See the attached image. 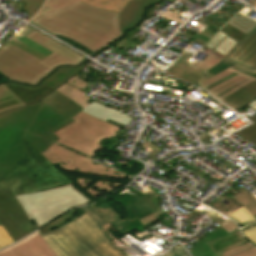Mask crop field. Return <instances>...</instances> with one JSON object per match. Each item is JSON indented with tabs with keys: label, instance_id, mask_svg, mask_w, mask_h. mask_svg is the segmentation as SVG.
<instances>
[{
	"label": "crop field",
	"instance_id": "crop-field-19",
	"mask_svg": "<svg viewBox=\"0 0 256 256\" xmlns=\"http://www.w3.org/2000/svg\"><path fill=\"white\" fill-rule=\"evenodd\" d=\"M82 112L107 121L111 124L118 126L119 124L128 125L132 118L128 117L129 115L112 110L109 107L100 105L98 103L92 102L88 105Z\"/></svg>",
	"mask_w": 256,
	"mask_h": 256
},
{
	"label": "crop field",
	"instance_id": "crop-field-45",
	"mask_svg": "<svg viewBox=\"0 0 256 256\" xmlns=\"http://www.w3.org/2000/svg\"><path fill=\"white\" fill-rule=\"evenodd\" d=\"M166 1H169V2L173 3L175 0H166Z\"/></svg>",
	"mask_w": 256,
	"mask_h": 256
},
{
	"label": "crop field",
	"instance_id": "crop-field-17",
	"mask_svg": "<svg viewBox=\"0 0 256 256\" xmlns=\"http://www.w3.org/2000/svg\"><path fill=\"white\" fill-rule=\"evenodd\" d=\"M208 55L203 59L204 61L198 66V68L208 71L212 74H217L229 67L252 77L256 78V73L249 71L245 68H242L228 60L225 57L219 55L218 53L208 50Z\"/></svg>",
	"mask_w": 256,
	"mask_h": 256
},
{
	"label": "crop field",
	"instance_id": "crop-field-36",
	"mask_svg": "<svg viewBox=\"0 0 256 256\" xmlns=\"http://www.w3.org/2000/svg\"><path fill=\"white\" fill-rule=\"evenodd\" d=\"M172 10H174V9H172ZM174 11H175L174 13L171 12V11H168V12L162 14L161 16H164V17H166V18H168V19H170L174 22L182 24L183 23L182 21H179V20L176 19L178 17V15H177L178 11H176V10H174Z\"/></svg>",
	"mask_w": 256,
	"mask_h": 256
},
{
	"label": "crop field",
	"instance_id": "crop-field-22",
	"mask_svg": "<svg viewBox=\"0 0 256 256\" xmlns=\"http://www.w3.org/2000/svg\"><path fill=\"white\" fill-rule=\"evenodd\" d=\"M191 57H192V54L185 52L181 56V58L173 64V66L178 67L180 69H183L185 71H188L190 73H193L195 75H198V76L202 77L199 82L213 76V75H211V74H209V73H207L203 70H200V69L196 68L202 62V60L200 62H196L195 64L189 62ZM198 83L196 84V86L202 88Z\"/></svg>",
	"mask_w": 256,
	"mask_h": 256
},
{
	"label": "crop field",
	"instance_id": "crop-field-40",
	"mask_svg": "<svg viewBox=\"0 0 256 256\" xmlns=\"http://www.w3.org/2000/svg\"><path fill=\"white\" fill-rule=\"evenodd\" d=\"M140 30L139 27H137L134 31L128 32L126 35H124V38L130 39L133 35H135Z\"/></svg>",
	"mask_w": 256,
	"mask_h": 256
},
{
	"label": "crop field",
	"instance_id": "crop-field-18",
	"mask_svg": "<svg viewBox=\"0 0 256 256\" xmlns=\"http://www.w3.org/2000/svg\"><path fill=\"white\" fill-rule=\"evenodd\" d=\"M3 86L20 98L26 105L40 101L41 98L54 90L46 83H41L37 87L22 86L17 83L4 84Z\"/></svg>",
	"mask_w": 256,
	"mask_h": 256
},
{
	"label": "crop field",
	"instance_id": "crop-field-30",
	"mask_svg": "<svg viewBox=\"0 0 256 256\" xmlns=\"http://www.w3.org/2000/svg\"><path fill=\"white\" fill-rule=\"evenodd\" d=\"M237 133L256 145V123Z\"/></svg>",
	"mask_w": 256,
	"mask_h": 256
},
{
	"label": "crop field",
	"instance_id": "crop-field-6",
	"mask_svg": "<svg viewBox=\"0 0 256 256\" xmlns=\"http://www.w3.org/2000/svg\"><path fill=\"white\" fill-rule=\"evenodd\" d=\"M15 198L24 208L35 230L68 209L93 202L73 184Z\"/></svg>",
	"mask_w": 256,
	"mask_h": 256
},
{
	"label": "crop field",
	"instance_id": "crop-field-25",
	"mask_svg": "<svg viewBox=\"0 0 256 256\" xmlns=\"http://www.w3.org/2000/svg\"><path fill=\"white\" fill-rule=\"evenodd\" d=\"M56 90L64 94L68 98L72 99L84 108L88 105L85 103L88 100V97L84 96V93L82 91L76 90L68 84H63Z\"/></svg>",
	"mask_w": 256,
	"mask_h": 256
},
{
	"label": "crop field",
	"instance_id": "crop-field-15",
	"mask_svg": "<svg viewBox=\"0 0 256 256\" xmlns=\"http://www.w3.org/2000/svg\"><path fill=\"white\" fill-rule=\"evenodd\" d=\"M227 59L256 71V29L244 38Z\"/></svg>",
	"mask_w": 256,
	"mask_h": 256
},
{
	"label": "crop field",
	"instance_id": "crop-field-3",
	"mask_svg": "<svg viewBox=\"0 0 256 256\" xmlns=\"http://www.w3.org/2000/svg\"><path fill=\"white\" fill-rule=\"evenodd\" d=\"M77 219L50 231L42 238L57 256H128L109 241L99 227L106 224L89 206Z\"/></svg>",
	"mask_w": 256,
	"mask_h": 256
},
{
	"label": "crop field",
	"instance_id": "crop-field-8",
	"mask_svg": "<svg viewBox=\"0 0 256 256\" xmlns=\"http://www.w3.org/2000/svg\"><path fill=\"white\" fill-rule=\"evenodd\" d=\"M72 119L75 121L54 133L60 139L57 143L90 157L95 151L101 149L100 141L112 136L120 129L82 112Z\"/></svg>",
	"mask_w": 256,
	"mask_h": 256
},
{
	"label": "crop field",
	"instance_id": "crop-field-31",
	"mask_svg": "<svg viewBox=\"0 0 256 256\" xmlns=\"http://www.w3.org/2000/svg\"><path fill=\"white\" fill-rule=\"evenodd\" d=\"M221 30L224 31L225 33L229 34L233 38L237 39L240 42L246 36L243 33L239 32L238 30H236L235 28H233L227 24Z\"/></svg>",
	"mask_w": 256,
	"mask_h": 256
},
{
	"label": "crop field",
	"instance_id": "crop-field-37",
	"mask_svg": "<svg viewBox=\"0 0 256 256\" xmlns=\"http://www.w3.org/2000/svg\"><path fill=\"white\" fill-rule=\"evenodd\" d=\"M217 30L218 28L208 25V27L203 32H198V33L211 38L217 32Z\"/></svg>",
	"mask_w": 256,
	"mask_h": 256
},
{
	"label": "crop field",
	"instance_id": "crop-field-1",
	"mask_svg": "<svg viewBox=\"0 0 256 256\" xmlns=\"http://www.w3.org/2000/svg\"><path fill=\"white\" fill-rule=\"evenodd\" d=\"M24 11L40 6L30 18L53 35L70 38L92 51L120 36L119 14L90 7L77 0H24Z\"/></svg>",
	"mask_w": 256,
	"mask_h": 256
},
{
	"label": "crop field",
	"instance_id": "crop-field-28",
	"mask_svg": "<svg viewBox=\"0 0 256 256\" xmlns=\"http://www.w3.org/2000/svg\"><path fill=\"white\" fill-rule=\"evenodd\" d=\"M166 73L176 78H179L181 80H184L188 83H191L193 85H195L200 79V77L198 76H195L193 74H190L188 72L175 68L173 66H171V68Z\"/></svg>",
	"mask_w": 256,
	"mask_h": 256
},
{
	"label": "crop field",
	"instance_id": "crop-field-44",
	"mask_svg": "<svg viewBox=\"0 0 256 256\" xmlns=\"http://www.w3.org/2000/svg\"><path fill=\"white\" fill-rule=\"evenodd\" d=\"M252 122H256V116L250 119Z\"/></svg>",
	"mask_w": 256,
	"mask_h": 256
},
{
	"label": "crop field",
	"instance_id": "crop-field-11",
	"mask_svg": "<svg viewBox=\"0 0 256 256\" xmlns=\"http://www.w3.org/2000/svg\"><path fill=\"white\" fill-rule=\"evenodd\" d=\"M123 204L128 213L126 218H121L108 202L96 208L93 205L90 207L106 223L110 222L121 235L129 231V223L159 211L156 194L146 201L135 195Z\"/></svg>",
	"mask_w": 256,
	"mask_h": 256
},
{
	"label": "crop field",
	"instance_id": "crop-field-35",
	"mask_svg": "<svg viewBox=\"0 0 256 256\" xmlns=\"http://www.w3.org/2000/svg\"><path fill=\"white\" fill-rule=\"evenodd\" d=\"M164 256H189L179 245H176Z\"/></svg>",
	"mask_w": 256,
	"mask_h": 256
},
{
	"label": "crop field",
	"instance_id": "crop-field-43",
	"mask_svg": "<svg viewBox=\"0 0 256 256\" xmlns=\"http://www.w3.org/2000/svg\"><path fill=\"white\" fill-rule=\"evenodd\" d=\"M250 5L256 7V0H253V1L250 3Z\"/></svg>",
	"mask_w": 256,
	"mask_h": 256
},
{
	"label": "crop field",
	"instance_id": "crop-field-24",
	"mask_svg": "<svg viewBox=\"0 0 256 256\" xmlns=\"http://www.w3.org/2000/svg\"><path fill=\"white\" fill-rule=\"evenodd\" d=\"M21 106H25V104L5 87L0 85V113Z\"/></svg>",
	"mask_w": 256,
	"mask_h": 256
},
{
	"label": "crop field",
	"instance_id": "crop-field-5",
	"mask_svg": "<svg viewBox=\"0 0 256 256\" xmlns=\"http://www.w3.org/2000/svg\"><path fill=\"white\" fill-rule=\"evenodd\" d=\"M26 153L14 168L0 180V190L13 196L35 193L72 183L53 167L39 152L21 138Z\"/></svg>",
	"mask_w": 256,
	"mask_h": 256
},
{
	"label": "crop field",
	"instance_id": "crop-field-16",
	"mask_svg": "<svg viewBox=\"0 0 256 256\" xmlns=\"http://www.w3.org/2000/svg\"><path fill=\"white\" fill-rule=\"evenodd\" d=\"M40 102L52 108L67 120L83 109L81 106L60 94L56 90L51 92Z\"/></svg>",
	"mask_w": 256,
	"mask_h": 256
},
{
	"label": "crop field",
	"instance_id": "crop-field-12",
	"mask_svg": "<svg viewBox=\"0 0 256 256\" xmlns=\"http://www.w3.org/2000/svg\"><path fill=\"white\" fill-rule=\"evenodd\" d=\"M0 223L14 241L34 231L21 205L5 191H0Z\"/></svg>",
	"mask_w": 256,
	"mask_h": 256
},
{
	"label": "crop field",
	"instance_id": "crop-field-20",
	"mask_svg": "<svg viewBox=\"0 0 256 256\" xmlns=\"http://www.w3.org/2000/svg\"><path fill=\"white\" fill-rule=\"evenodd\" d=\"M244 243H246V240L240 234L239 230H236L228 235L207 242V245L211 249L214 256H217L218 253L222 251L228 250Z\"/></svg>",
	"mask_w": 256,
	"mask_h": 256
},
{
	"label": "crop field",
	"instance_id": "crop-field-38",
	"mask_svg": "<svg viewBox=\"0 0 256 256\" xmlns=\"http://www.w3.org/2000/svg\"><path fill=\"white\" fill-rule=\"evenodd\" d=\"M220 227H222L223 229H225L227 232H232L236 229H238V227L232 222V221H226L224 224H222Z\"/></svg>",
	"mask_w": 256,
	"mask_h": 256
},
{
	"label": "crop field",
	"instance_id": "crop-field-10",
	"mask_svg": "<svg viewBox=\"0 0 256 256\" xmlns=\"http://www.w3.org/2000/svg\"><path fill=\"white\" fill-rule=\"evenodd\" d=\"M72 121L42 104L22 138L41 153L59 140L53 133Z\"/></svg>",
	"mask_w": 256,
	"mask_h": 256
},
{
	"label": "crop field",
	"instance_id": "crop-field-13",
	"mask_svg": "<svg viewBox=\"0 0 256 256\" xmlns=\"http://www.w3.org/2000/svg\"><path fill=\"white\" fill-rule=\"evenodd\" d=\"M159 0H91L87 4L121 14L120 29L124 32L140 19L143 8Z\"/></svg>",
	"mask_w": 256,
	"mask_h": 256
},
{
	"label": "crop field",
	"instance_id": "crop-field-9",
	"mask_svg": "<svg viewBox=\"0 0 256 256\" xmlns=\"http://www.w3.org/2000/svg\"><path fill=\"white\" fill-rule=\"evenodd\" d=\"M200 85L235 111L256 98V79L230 68Z\"/></svg>",
	"mask_w": 256,
	"mask_h": 256
},
{
	"label": "crop field",
	"instance_id": "crop-field-2",
	"mask_svg": "<svg viewBox=\"0 0 256 256\" xmlns=\"http://www.w3.org/2000/svg\"><path fill=\"white\" fill-rule=\"evenodd\" d=\"M83 59L25 25L0 49V72L10 80L36 84L58 65H76Z\"/></svg>",
	"mask_w": 256,
	"mask_h": 256
},
{
	"label": "crop field",
	"instance_id": "crop-field-41",
	"mask_svg": "<svg viewBox=\"0 0 256 256\" xmlns=\"http://www.w3.org/2000/svg\"><path fill=\"white\" fill-rule=\"evenodd\" d=\"M193 41H195V43H197V44H199V45H201V46H203L204 45V43H201V42H199V41H197V40H195V39H193ZM204 47V46H203ZM208 48H206V47H204L203 48V50H207Z\"/></svg>",
	"mask_w": 256,
	"mask_h": 256
},
{
	"label": "crop field",
	"instance_id": "crop-field-21",
	"mask_svg": "<svg viewBox=\"0 0 256 256\" xmlns=\"http://www.w3.org/2000/svg\"><path fill=\"white\" fill-rule=\"evenodd\" d=\"M238 41L228 37L223 32L218 31L206 44L205 46L213 49L223 56L227 54L235 47Z\"/></svg>",
	"mask_w": 256,
	"mask_h": 256
},
{
	"label": "crop field",
	"instance_id": "crop-field-32",
	"mask_svg": "<svg viewBox=\"0 0 256 256\" xmlns=\"http://www.w3.org/2000/svg\"><path fill=\"white\" fill-rule=\"evenodd\" d=\"M11 243H13V240L1 225L0 226V249L4 248L5 246Z\"/></svg>",
	"mask_w": 256,
	"mask_h": 256
},
{
	"label": "crop field",
	"instance_id": "crop-field-39",
	"mask_svg": "<svg viewBox=\"0 0 256 256\" xmlns=\"http://www.w3.org/2000/svg\"><path fill=\"white\" fill-rule=\"evenodd\" d=\"M156 219H159V217H158L156 214H152V215H150V216H147V217H145V218L140 219V221H141V223H142L143 225H145V224H147V223H149V222H152V221H154V220H156Z\"/></svg>",
	"mask_w": 256,
	"mask_h": 256
},
{
	"label": "crop field",
	"instance_id": "crop-field-29",
	"mask_svg": "<svg viewBox=\"0 0 256 256\" xmlns=\"http://www.w3.org/2000/svg\"><path fill=\"white\" fill-rule=\"evenodd\" d=\"M78 209L70 211L64 215H62L61 217H59L58 219H56L55 221H53L52 223H50L49 225H47L45 228H43L42 230H40V234H44L50 230H53L59 226H61L62 224L68 222L69 218L73 217Z\"/></svg>",
	"mask_w": 256,
	"mask_h": 256
},
{
	"label": "crop field",
	"instance_id": "crop-field-23",
	"mask_svg": "<svg viewBox=\"0 0 256 256\" xmlns=\"http://www.w3.org/2000/svg\"><path fill=\"white\" fill-rule=\"evenodd\" d=\"M83 65L77 68L63 67L59 68L53 75L43 80L48 83L54 89L63 84L72 75L78 73L82 69Z\"/></svg>",
	"mask_w": 256,
	"mask_h": 256
},
{
	"label": "crop field",
	"instance_id": "crop-field-34",
	"mask_svg": "<svg viewBox=\"0 0 256 256\" xmlns=\"http://www.w3.org/2000/svg\"><path fill=\"white\" fill-rule=\"evenodd\" d=\"M66 83H69L71 86L82 90L86 85L87 82L83 81L82 79L74 76L73 78H71L69 81H67Z\"/></svg>",
	"mask_w": 256,
	"mask_h": 256
},
{
	"label": "crop field",
	"instance_id": "crop-field-7",
	"mask_svg": "<svg viewBox=\"0 0 256 256\" xmlns=\"http://www.w3.org/2000/svg\"><path fill=\"white\" fill-rule=\"evenodd\" d=\"M40 105L37 103L0 115V179L26 152L20 138Z\"/></svg>",
	"mask_w": 256,
	"mask_h": 256
},
{
	"label": "crop field",
	"instance_id": "crop-field-26",
	"mask_svg": "<svg viewBox=\"0 0 256 256\" xmlns=\"http://www.w3.org/2000/svg\"><path fill=\"white\" fill-rule=\"evenodd\" d=\"M226 216L235 221L240 228L256 222V220L248 213V211L244 207L237 209L227 214Z\"/></svg>",
	"mask_w": 256,
	"mask_h": 256
},
{
	"label": "crop field",
	"instance_id": "crop-field-42",
	"mask_svg": "<svg viewBox=\"0 0 256 256\" xmlns=\"http://www.w3.org/2000/svg\"><path fill=\"white\" fill-rule=\"evenodd\" d=\"M195 37L201 38V39L206 40V41L209 40V38H206V37H204V36H202L200 34L196 35Z\"/></svg>",
	"mask_w": 256,
	"mask_h": 256
},
{
	"label": "crop field",
	"instance_id": "crop-field-14",
	"mask_svg": "<svg viewBox=\"0 0 256 256\" xmlns=\"http://www.w3.org/2000/svg\"><path fill=\"white\" fill-rule=\"evenodd\" d=\"M0 256H56L38 232L2 251Z\"/></svg>",
	"mask_w": 256,
	"mask_h": 256
},
{
	"label": "crop field",
	"instance_id": "crop-field-4",
	"mask_svg": "<svg viewBox=\"0 0 256 256\" xmlns=\"http://www.w3.org/2000/svg\"><path fill=\"white\" fill-rule=\"evenodd\" d=\"M42 155L52 165L57 164L68 171L84 172L85 175H75L77 183L74 184L93 201L134 178L100 163L94 165L92 160L55 143Z\"/></svg>",
	"mask_w": 256,
	"mask_h": 256
},
{
	"label": "crop field",
	"instance_id": "crop-field-46",
	"mask_svg": "<svg viewBox=\"0 0 256 256\" xmlns=\"http://www.w3.org/2000/svg\"><path fill=\"white\" fill-rule=\"evenodd\" d=\"M79 1H83V2H85V3H86V2H88L89 0H79Z\"/></svg>",
	"mask_w": 256,
	"mask_h": 256
},
{
	"label": "crop field",
	"instance_id": "crop-field-33",
	"mask_svg": "<svg viewBox=\"0 0 256 256\" xmlns=\"http://www.w3.org/2000/svg\"><path fill=\"white\" fill-rule=\"evenodd\" d=\"M242 234L248 239L254 246H256V227L242 231Z\"/></svg>",
	"mask_w": 256,
	"mask_h": 256
},
{
	"label": "crop field",
	"instance_id": "crop-field-27",
	"mask_svg": "<svg viewBox=\"0 0 256 256\" xmlns=\"http://www.w3.org/2000/svg\"><path fill=\"white\" fill-rule=\"evenodd\" d=\"M237 196L233 197L237 202H239L241 205H243L250 214L256 219V200L253 198V196L247 192L237 193L233 190Z\"/></svg>",
	"mask_w": 256,
	"mask_h": 256
}]
</instances>
